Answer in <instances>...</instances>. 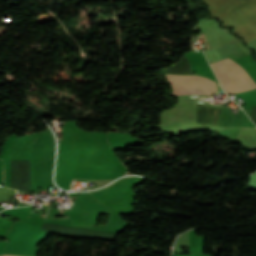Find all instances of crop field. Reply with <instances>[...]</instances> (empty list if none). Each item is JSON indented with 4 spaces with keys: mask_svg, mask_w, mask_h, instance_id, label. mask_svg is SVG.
<instances>
[{
    "mask_svg": "<svg viewBox=\"0 0 256 256\" xmlns=\"http://www.w3.org/2000/svg\"><path fill=\"white\" fill-rule=\"evenodd\" d=\"M211 65L227 94L256 89V83L234 60L226 58Z\"/></svg>",
    "mask_w": 256,
    "mask_h": 256,
    "instance_id": "1",
    "label": "crop field"
},
{
    "mask_svg": "<svg viewBox=\"0 0 256 256\" xmlns=\"http://www.w3.org/2000/svg\"><path fill=\"white\" fill-rule=\"evenodd\" d=\"M73 182V181H72ZM71 185H72V183H71Z\"/></svg>",
    "mask_w": 256,
    "mask_h": 256,
    "instance_id": "4",
    "label": "crop field"
},
{
    "mask_svg": "<svg viewBox=\"0 0 256 256\" xmlns=\"http://www.w3.org/2000/svg\"><path fill=\"white\" fill-rule=\"evenodd\" d=\"M172 86L173 94H206L217 91V84L211 80L198 76L165 75Z\"/></svg>",
    "mask_w": 256,
    "mask_h": 256,
    "instance_id": "2",
    "label": "crop field"
},
{
    "mask_svg": "<svg viewBox=\"0 0 256 256\" xmlns=\"http://www.w3.org/2000/svg\"><path fill=\"white\" fill-rule=\"evenodd\" d=\"M2 256H13V255H2Z\"/></svg>",
    "mask_w": 256,
    "mask_h": 256,
    "instance_id": "3",
    "label": "crop field"
}]
</instances>
